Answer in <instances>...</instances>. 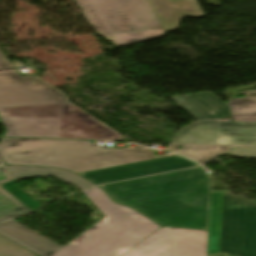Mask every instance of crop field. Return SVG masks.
Masks as SVG:
<instances>
[{"mask_svg": "<svg viewBox=\"0 0 256 256\" xmlns=\"http://www.w3.org/2000/svg\"><path fill=\"white\" fill-rule=\"evenodd\" d=\"M211 175L201 168L102 185L162 226L207 230Z\"/></svg>", "mask_w": 256, "mask_h": 256, "instance_id": "8a807250", "label": "crop field"}, {"mask_svg": "<svg viewBox=\"0 0 256 256\" xmlns=\"http://www.w3.org/2000/svg\"><path fill=\"white\" fill-rule=\"evenodd\" d=\"M85 193L106 217L67 246L13 220L0 224V234L40 256H122L160 228L130 208L113 203L97 187Z\"/></svg>", "mask_w": 256, "mask_h": 256, "instance_id": "ac0d7876", "label": "crop field"}, {"mask_svg": "<svg viewBox=\"0 0 256 256\" xmlns=\"http://www.w3.org/2000/svg\"><path fill=\"white\" fill-rule=\"evenodd\" d=\"M0 153L6 164L69 169L75 173L124 165L156 157L140 147L102 149L87 141L2 138Z\"/></svg>", "mask_w": 256, "mask_h": 256, "instance_id": "34b2d1b8", "label": "crop field"}, {"mask_svg": "<svg viewBox=\"0 0 256 256\" xmlns=\"http://www.w3.org/2000/svg\"><path fill=\"white\" fill-rule=\"evenodd\" d=\"M84 18L117 48L165 35L147 0H75Z\"/></svg>", "mask_w": 256, "mask_h": 256, "instance_id": "412701ff", "label": "crop field"}, {"mask_svg": "<svg viewBox=\"0 0 256 256\" xmlns=\"http://www.w3.org/2000/svg\"><path fill=\"white\" fill-rule=\"evenodd\" d=\"M226 192L211 193L208 253L256 256V208L225 210Z\"/></svg>", "mask_w": 256, "mask_h": 256, "instance_id": "f4fd0767", "label": "crop field"}, {"mask_svg": "<svg viewBox=\"0 0 256 256\" xmlns=\"http://www.w3.org/2000/svg\"><path fill=\"white\" fill-rule=\"evenodd\" d=\"M0 116L64 118L58 138L125 140L72 103L2 108Z\"/></svg>", "mask_w": 256, "mask_h": 256, "instance_id": "dd49c442", "label": "crop field"}, {"mask_svg": "<svg viewBox=\"0 0 256 256\" xmlns=\"http://www.w3.org/2000/svg\"><path fill=\"white\" fill-rule=\"evenodd\" d=\"M70 102L67 96L36 75L0 73V108Z\"/></svg>", "mask_w": 256, "mask_h": 256, "instance_id": "e52e79f7", "label": "crop field"}, {"mask_svg": "<svg viewBox=\"0 0 256 256\" xmlns=\"http://www.w3.org/2000/svg\"><path fill=\"white\" fill-rule=\"evenodd\" d=\"M173 143L256 146V122L198 121L181 130Z\"/></svg>", "mask_w": 256, "mask_h": 256, "instance_id": "d8731c3e", "label": "crop field"}, {"mask_svg": "<svg viewBox=\"0 0 256 256\" xmlns=\"http://www.w3.org/2000/svg\"><path fill=\"white\" fill-rule=\"evenodd\" d=\"M197 164L180 156L162 158L116 168L81 173L80 175L99 185L107 182L129 179L139 176L194 167Z\"/></svg>", "mask_w": 256, "mask_h": 256, "instance_id": "5a996713", "label": "crop field"}, {"mask_svg": "<svg viewBox=\"0 0 256 256\" xmlns=\"http://www.w3.org/2000/svg\"><path fill=\"white\" fill-rule=\"evenodd\" d=\"M4 136L57 138L63 119L0 117Z\"/></svg>", "mask_w": 256, "mask_h": 256, "instance_id": "3316defc", "label": "crop field"}, {"mask_svg": "<svg viewBox=\"0 0 256 256\" xmlns=\"http://www.w3.org/2000/svg\"><path fill=\"white\" fill-rule=\"evenodd\" d=\"M164 32L178 28L186 16H204L197 0H148Z\"/></svg>", "mask_w": 256, "mask_h": 256, "instance_id": "28ad6ade", "label": "crop field"}, {"mask_svg": "<svg viewBox=\"0 0 256 256\" xmlns=\"http://www.w3.org/2000/svg\"><path fill=\"white\" fill-rule=\"evenodd\" d=\"M170 99L197 120L220 119L230 116L228 106L211 92L172 97Z\"/></svg>", "mask_w": 256, "mask_h": 256, "instance_id": "d1516ede", "label": "crop field"}, {"mask_svg": "<svg viewBox=\"0 0 256 256\" xmlns=\"http://www.w3.org/2000/svg\"><path fill=\"white\" fill-rule=\"evenodd\" d=\"M177 247V256H207V231L169 228Z\"/></svg>", "mask_w": 256, "mask_h": 256, "instance_id": "22f410ed", "label": "crop field"}, {"mask_svg": "<svg viewBox=\"0 0 256 256\" xmlns=\"http://www.w3.org/2000/svg\"><path fill=\"white\" fill-rule=\"evenodd\" d=\"M15 180L54 176L81 190L94 186L74 173L47 168L8 166Z\"/></svg>", "mask_w": 256, "mask_h": 256, "instance_id": "cbeb9de0", "label": "crop field"}, {"mask_svg": "<svg viewBox=\"0 0 256 256\" xmlns=\"http://www.w3.org/2000/svg\"><path fill=\"white\" fill-rule=\"evenodd\" d=\"M7 166L0 161V221L14 218L29 212V208L1 188L5 182L13 181Z\"/></svg>", "mask_w": 256, "mask_h": 256, "instance_id": "5142ce71", "label": "crop field"}, {"mask_svg": "<svg viewBox=\"0 0 256 256\" xmlns=\"http://www.w3.org/2000/svg\"><path fill=\"white\" fill-rule=\"evenodd\" d=\"M178 145L184 147L183 150L176 148ZM229 146L217 145H188V144H170L168 149L182 154L200 164L224 153ZM186 151V153H184Z\"/></svg>", "mask_w": 256, "mask_h": 256, "instance_id": "d9b57169", "label": "crop field"}, {"mask_svg": "<svg viewBox=\"0 0 256 256\" xmlns=\"http://www.w3.org/2000/svg\"><path fill=\"white\" fill-rule=\"evenodd\" d=\"M245 98L230 100L233 121H256V89L241 91Z\"/></svg>", "mask_w": 256, "mask_h": 256, "instance_id": "733c2abd", "label": "crop field"}, {"mask_svg": "<svg viewBox=\"0 0 256 256\" xmlns=\"http://www.w3.org/2000/svg\"><path fill=\"white\" fill-rule=\"evenodd\" d=\"M135 256H174L170 233H165Z\"/></svg>", "mask_w": 256, "mask_h": 256, "instance_id": "4a817a6b", "label": "crop field"}, {"mask_svg": "<svg viewBox=\"0 0 256 256\" xmlns=\"http://www.w3.org/2000/svg\"><path fill=\"white\" fill-rule=\"evenodd\" d=\"M2 188H4L6 191H8L10 194H12L14 197H16L33 211L42 206L31 197H29L27 194H25L23 191H21L12 182L4 184Z\"/></svg>", "mask_w": 256, "mask_h": 256, "instance_id": "bc2a9ffb", "label": "crop field"}, {"mask_svg": "<svg viewBox=\"0 0 256 256\" xmlns=\"http://www.w3.org/2000/svg\"><path fill=\"white\" fill-rule=\"evenodd\" d=\"M0 256H36V255L0 237Z\"/></svg>", "mask_w": 256, "mask_h": 256, "instance_id": "214f88e0", "label": "crop field"}, {"mask_svg": "<svg viewBox=\"0 0 256 256\" xmlns=\"http://www.w3.org/2000/svg\"><path fill=\"white\" fill-rule=\"evenodd\" d=\"M165 232H167V231H165L164 229L160 228L155 233H153L151 236H149L147 239H145L143 242H141L139 245H137L135 248H133L131 251L126 253L124 256H133V255H135L136 253L141 251L143 248H145L147 245H149L154 240H156L161 235H163Z\"/></svg>", "mask_w": 256, "mask_h": 256, "instance_id": "92a150f3", "label": "crop field"}, {"mask_svg": "<svg viewBox=\"0 0 256 256\" xmlns=\"http://www.w3.org/2000/svg\"><path fill=\"white\" fill-rule=\"evenodd\" d=\"M256 207V203L237 199L227 193L226 209Z\"/></svg>", "mask_w": 256, "mask_h": 256, "instance_id": "dafd665d", "label": "crop field"}, {"mask_svg": "<svg viewBox=\"0 0 256 256\" xmlns=\"http://www.w3.org/2000/svg\"><path fill=\"white\" fill-rule=\"evenodd\" d=\"M228 154L239 156V157L256 158V148L232 147Z\"/></svg>", "mask_w": 256, "mask_h": 256, "instance_id": "00972430", "label": "crop field"}, {"mask_svg": "<svg viewBox=\"0 0 256 256\" xmlns=\"http://www.w3.org/2000/svg\"><path fill=\"white\" fill-rule=\"evenodd\" d=\"M17 70L14 65L4 56L0 49V72L1 71H12Z\"/></svg>", "mask_w": 256, "mask_h": 256, "instance_id": "a9b5d70f", "label": "crop field"}, {"mask_svg": "<svg viewBox=\"0 0 256 256\" xmlns=\"http://www.w3.org/2000/svg\"><path fill=\"white\" fill-rule=\"evenodd\" d=\"M164 229L167 230L168 232H170V230H168L167 228L164 227ZM171 237H172V234H171ZM172 241H173V237H172ZM173 244H174V242H173ZM175 256H176V247H175Z\"/></svg>", "mask_w": 256, "mask_h": 256, "instance_id": "4177f3b9", "label": "crop field"}, {"mask_svg": "<svg viewBox=\"0 0 256 256\" xmlns=\"http://www.w3.org/2000/svg\"><path fill=\"white\" fill-rule=\"evenodd\" d=\"M0 160H1V158H0Z\"/></svg>", "mask_w": 256, "mask_h": 256, "instance_id": "730fd06b", "label": "crop field"}]
</instances>
